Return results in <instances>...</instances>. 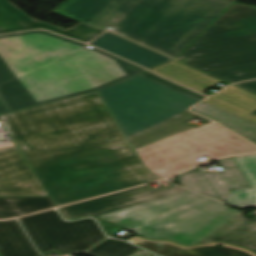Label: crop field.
Segmentation results:
<instances>
[{
  "label": "crop field",
  "mask_w": 256,
  "mask_h": 256,
  "mask_svg": "<svg viewBox=\"0 0 256 256\" xmlns=\"http://www.w3.org/2000/svg\"><path fill=\"white\" fill-rule=\"evenodd\" d=\"M230 1H234V2H236L237 0H230Z\"/></svg>",
  "instance_id": "obj_28"
},
{
  "label": "crop field",
  "mask_w": 256,
  "mask_h": 256,
  "mask_svg": "<svg viewBox=\"0 0 256 256\" xmlns=\"http://www.w3.org/2000/svg\"><path fill=\"white\" fill-rule=\"evenodd\" d=\"M182 57L204 72L256 63V7L234 3Z\"/></svg>",
  "instance_id": "obj_6"
},
{
  "label": "crop field",
  "mask_w": 256,
  "mask_h": 256,
  "mask_svg": "<svg viewBox=\"0 0 256 256\" xmlns=\"http://www.w3.org/2000/svg\"><path fill=\"white\" fill-rule=\"evenodd\" d=\"M127 241L151 250L161 256H250L244 251L219 246L198 247L196 249L186 250L165 243L143 242L134 237L127 239Z\"/></svg>",
  "instance_id": "obj_16"
},
{
  "label": "crop field",
  "mask_w": 256,
  "mask_h": 256,
  "mask_svg": "<svg viewBox=\"0 0 256 256\" xmlns=\"http://www.w3.org/2000/svg\"><path fill=\"white\" fill-rule=\"evenodd\" d=\"M141 75L146 76V77H148V78H150V79H153V80H155V81H158V82H160V83H163V84H165V85H167V86H170V87H172V88H175V89H177V90H179V91H181V92H184V93H186V94H188V95H190V96H193V97H195V98H197V99H199V100L205 98V97H203V96H201V95H198V94H196V93H194V92H192V91H189V90H187V89H185V88H182V87H180V86H178V85H176V84H173V83H171V82H169V81H167V80H165V79H163V78H161V77H159V76H156V75H154V74H151V73H149V72H146V73L141 74Z\"/></svg>",
  "instance_id": "obj_23"
},
{
  "label": "crop field",
  "mask_w": 256,
  "mask_h": 256,
  "mask_svg": "<svg viewBox=\"0 0 256 256\" xmlns=\"http://www.w3.org/2000/svg\"><path fill=\"white\" fill-rule=\"evenodd\" d=\"M90 44L115 53L148 69L171 60L169 57L134 44L111 32L105 33L96 40L92 41Z\"/></svg>",
  "instance_id": "obj_12"
},
{
  "label": "crop field",
  "mask_w": 256,
  "mask_h": 256,
  "mask_svg": "<svg viewBox=\"0 0 256 256\" xmlns=\"http://www.w3.org/2000/svg\"><path fill=\"white\" fill-rule=\"evenodd\" d=\"M204 102L256 123V115H249L256 109V95L252 93L231 86Z\"/></svg>",
  "instance_id": "obj_13"
},
{
  "label": "crop field",
  "mask_w": 256,
  "mask_h": 256,
  "mask_svg": "<svg viewBox=\"0 0 256 256\" xmlns=\"http://www.w3.org/2000/svg\"><path fill=\"white\" fill-rule=\"evenodd\" d=\"M85 46L45 31L0 36V84L70 54L75 55L97 90L145 71Z\"/></svg>",
  "instance_id": "obj_5"
},
{
  "label": "crop field",
  "mask_w": 256,
  "mask_h": 256,
  "mask_svg": "<svg viewBox=\"0 0 256 256\" xmlns=\"http://www.w3.org/2000/svg\"><path fill=\"white\" fill-rule=\"evenodd\" d=\"M0 119L57 206L160 179L146 171L97 92Z\"/></svg>",
  "instance_id": "obj_1"
},
{
  "label": "crop field",
  "mask_w": 256,
  "mask_h": 256,
  "mask_svg": "<svg viewBox=\"0 0 256 256\" xmlns=\"http://www.w3.org/2000/svg\"><path fill=\"white\" fill-rule=\"evenodd\" d=\"M66 219L95 215L149 239L192 245L221 241L256 253V217L177 185L147 186L61 208Z\"/></svg>",
  "instance_id": "obj_3"
},
{
  "label": "crop field",
  "mask_w": 256,
  "mask_h": 256,
  "mask_svg": "<svg viewBox=\"0 0 256 256\" xmlns=\"http://www.w3.org/2000/svg\"><path fill=\"white\" fill-rule=\"evenodd\" d=\"M152 71L200 92L220 81L175 61Z\"/></svg>",
  "instance_id": "obj_17"
},
{
  "label": "crop field",
  "mask_w": 256,
  "mask_h": 256,
  "mask_svg": "<svg viewBox=\"0 0 256 256\" xmlns=\"http://www.w3.org/2000/svg\"><path fill=\"white\" fill-rule=\"evenodd\" d=\"M19 220L39 252L79 253L106 238L93 219L66 223L54 210Z\"/></svg>",
  "instance_id": "obj_8"
},
{
  "label": "crop field",
  "mask_w": 256,
  "mask_h": 256,
  "mask_svg": "<svg viewBox=\"0 0 256 256\" xmlns=\"http://www.w3.org/2000/svg\"><path fill=\"white\" fill-rule=\"evenodd\" d=\"M229 83L256 79V64L208 72Z\"/></svg>",
  "instance_id": "obj_22"
},
{
  "label": "crop field",
  "mask_w": 256,
  "mask_h": 256,
  "mask_svg": "<svg viewBox=\"0 0 256 256\" xmlns=\"http://www.w3.org/2000/svg\"><path fill=\"white\" fill-rule=\"evenodd\" d=\"M2 256H40L16 220L0 222Z\"/></svg>",
  "instance_id": "obj_15"
},
{
  "label": "crop field",
  "mask_w": 256,
  "mask_h": 256,
  "mask_svg": "<svg viewBox=\"0 0 256 256\" xmlns=\"http://www.w3.org/2000/svg\"><path fill=\"white\" fill-rule=\"evenodd\" d=\"M138 156L164 178L199 164L195 159L256 152V147L222 127L197 128L187 109L199 100L141 75L99 92Z\"/></svg>",
  "instance_id": "obj_2"
},
{
  "label": "crop field",
  "mask_w": 256,
  "mask_h": 256,
  "mask_svg": "<svg viewBox=\"0 0 256 256\" xmlns=\"http://www.w3.org/2000/svg\"><path fill=\"white\" fill-rule=\"evenodd\" d=\"M217 162L225 171L203 172L201 169L195 168L177 175L181 186L223 202L232 189L250 187L231 157L218 159Z\"/></svg>",
  "instance_id": "obj_9"
},
{
  "label": "crop field",
  "mask_w": 256,
  "mask_h": 256,
  "mask_svg": "<svg viewBox=\"0 0 256 256\" xmlns=\"http://www.w3.org/2000/svg\"><path fill=\"white\" fill-rule=\"evenodd\" d=\"M35 28L49 29L59 34L85 42L93 40L104 32V30L91 27L84 23H81L69 30L52 26L28 17L8 0H0V33Z\"/></svg>",
  "instance_id": "obj_11"
},
{
  "label": "crop field",
  "mask_w": 256,
  "mask_h": 256,
  "mask_svg": "<svg viewBox=\"0 0 256 256\" xmlns=\"http://www.w3.org/2000/svg\"><path fill=\"white\" fill-rule=\"evenodd\" d=\"M136 238H138V239H140V240H143V241H150V240H145L144 238L139 237V236H136ZM150 242H165V243H168V244H171V245H175V246H178V247H181V248H187V249L197 247V246H193V247L179 246V245H177V244H175V243L168 242V241H150ZM217 244H218V242L211 243V244H206V245H199V246H211V245H217ZM220 244H222V243H220ZM222 246H228V247H232V248L244 250V251H246L248 254H250V255H252V256H256L254 253H252V252H250V251H247V250H245V249H242V248H238V247L231 246V245H226V244H223Z\"/></svg>",
  "instance_id": "obj_24"
},
{
  "label": "crop field",
  "mask_w": 256,
  "mask_h": 256,
  "mask_svg": "<svg viewBox=\"0 0 256 256\" xmlns=\"http://www.w3.org/2000/svg\"><path fill=\"white\" fill-rule=\"evenodd\" d=\"M130 256H154V255L139 249L136 252H134L133 254H131Z\"/></svg>",
  "instance_id": "obj_27"
},
{
  "label": "crop field",
  "mask_w": 256,
  "mask_h": 256,
  "mask_svg": "<svg viewBox=\"0 0 256 256\" xmlns=\"http://www.w3.org/2000/svg\"><path fill=\"white\" fill-rule=\"evenodd\" d=\"M229 5L220 0H112L88 24L114 27L118 35L175 57Z\"/></svg>",
  "instance_id": "obj_4"
},
{
  "label": "crop field",
  "mask_w": 256,
  "mask_h": 256,
  "mask_svg": "<svg viewBox=\"0 0 256 256\" xmlns=\"http://www.w3.org/2000/svg\"><path fill=\"white\" fill-rule=\"evenodd\" d=\"M54 207L49 197L0 198V219Z\"/></svg>",
  "instance_id": "obj_19"
},
{
  "label": "crop field",
  "mask_w": 256,
  "mask_h": 256,
  "mask_svg": "<svg viewBox=\"0 0 256 256\" xmlns=\"http://www.w3.org/2000/svg\"><path fill=\"white\" fill-rule=\"evenodd\" d=\"M111 0H67L52 13L88 23Z\"/></svg>",
  "instance_id": "obj_20"
},
{
  "label": "crop field",
  "mask_w": 256,
  "mask_h": 256,
  "mask_svg": "<svg viewBox=\"0 0 256 256\" xmlns=\"http://www.w3.org/2000/svg\"><path fill=\"white\" fill-rule=\"evenodd\" d=\"M9 112L10 110L8 109V107L0 97V114L9 113Z\"/></svg>",
  "instance_id": "obj_26"
},
{
  "label": "crop field",
  "mask_w": 256,
  "mask_h": 256,
  "mask_svg": "<svg viewBox=\"0 0 256 256\" xmlns=\"http://www.w3.org/2000/svg\"><path fill=\"white\" fill-rule=\"evenodd\" d=\"M95 91L74 55L0 85L11 111Z\"/></svg>",
  "instance_id": "obj_7"
},
{
  "label": "crop field",
  "mask_w": 256,
  "mask_h": 256,
  "mask_svg": "<svg viewBox=\"0 0 256 256\" xmlns=\"http://www.w3.org/2000/svg\"><path fill=\"white\" fill-rule=\"evenodd\" d=\"M47 193L16 148L0 149V197L46 196Z\"/></svg>",
  "instance_id": "obj_10"
},
{
  "label": "crop field",
  "mask_w": 256,
  "mask_h": 256,
  "mask_svg": "<svg viewBox=\"0 0 256 256\" xmlns=\"http://www.w3.org/2000/svg\"><path fill=\"white\" fill-rule=\"evenodd\" d=\"M237 86L256 93V81L237 84ZM251 114H256V110L251 112Z\"/></svg>",
  "instance_id": "obj_25"
},
{
  "label": "crop field",
  "mask_w": 256,
  "mask_h": 256,
  "mask_svg": "<svg viewBox=\"0 0 256 256\" xmlns=\"http://www.w3.org/2000/svg\"><path fill=\"white\" fill-rule=\"evenodd\" d=\"M138 248L119 240L108 239L87 251L94 256H128Z\"/></svg>",
  "instance_id": "obj_21"
},
{
  "label": "crop field",
  "mask_w": 256,
  "mask_h": 256,
  "mask_svg": "<svg viewBox=\"0 0 256 256\" xmlns=\"http://www.w3.org/2000/svg\"><path fill=\"white\" fill-rule=\"evenodd\" d=\"M191 110L214 120L225 128L256 144V124L222 111L204 102L193 107Z\"/></svg>",
  "instance_id": "obj_18"
},
{
  "label": "crop field",
  "mask_w": 256,
  "mask_h": 256,
  "mask_svg": "<svg viewBox=\"0 0 256 256\" xmlns=\"http://www.w3.org/2000/svg\"><path fill=\"white\" fill-rule=\"evenodd\" d=\"M251 188L232 190L225 203L256 208V154L232 157Z\"/></svg>",
  "instance_id": "obj_14"
}]
</instances>
